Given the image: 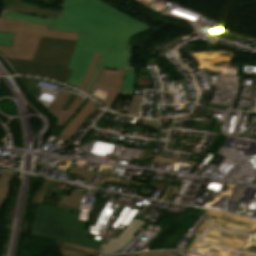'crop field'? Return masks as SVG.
I'll list each match as a JSON object with an SVG mask.
<instances>
[{"label":"crop field","mask_w":256,"mask_h":256,"mask_svg":"<svg viewBox=\"0 0 256 256\" xmlns=\"http://www.w3.org/2000/svg\"><path fill=\"white\" fill-rule=\"evenodd\" d=\"M64 4V12L54 20L12 12H5L0 17L79 33L67 67L73 71L66 84L78 88L92 61L93 52H98L102 55L84 92L88 94L99 68L104 67L126 71L119 93L132 95L136 70L129 67L132 45L126 43L130 36L150 28L101 0H64Z\"/></svg>","instance_id":"obj_1"},{"label":"crop field","mask_w":256,"mask_h":256,"mask_svg":"<svg viewBox=\"0 0 256 256\" xmlns=\"http://www.w3.org/2000/svg\"><path fill=\"white\" fill-rule=\"evenodd\" d=\"M78 210L40 205L30 235L67 241L99 250L103 241L86 238L87 223L75 221Z\"/></svg>","instance_id":"obj_2"},{"label":"crop field","mask_w":256,"mask_h":256,"mask_svg":"<svg viewBox=\"0 0 256 256\" xmlns=\"http://www.w3.org/2000/svg\"><path fill=\"white\" fill-rule=\"evenodd\" d=\"M76 41L42 37L32 61L6 59L17 74H31L66 82V69Z\"/></svg>","instance_id":"obj_3"},{"label":"crop field","mask_w":256,"mask_h":256,"mask_svg":"<svg viewBox=\"0 0 256 256\" xmlns=\"http://www.w3.org/2000/svg\"><path fill=\"white\" fill-rule=\"evenodd\" d=\"M0 31L15 33L12 47L0 46L4 58L31 60L41 36L76 40V33L54 31L46 26L0 18Z\"/></svg>","instance_id":"obj_4"},{"label":"crop field","mask_w":256,"mask_h":256,"mask_svg":"<svg viewBox=\"0 0 256 256\" xmlns=\"http://www.w3.org/2000/svg\"><path fill=\"white\" fill-rule=\"evenodd\" d=\"M124 75L125 72L123 71L101 68L88 95L91 96L96 87L110 91L104 104L112 108L123 82Z\"/></svg>","instance_id":"obj_5"},{"label":"crop field","mask_w":256,"mask_h":256,"mask_svg":"<svg viewBox=\"0 0 256 256\" xmlns=\"http://www.w3.org/2000/svg\"><path fill=\"white\" fill-rule=\"evenodd\" d=\"M80 96L70 93L60 92L55 99L54 103L48 110L54 116L57 117L58 124L55 126H63L66 121L72 116V114L82 104V100H79ZM84 103V102H83Z\"/></svg>","instance_id":"obj_6"},{"label":"crop field","mask_w":256,"mask_h":256,"mask_svg":"<svg viewBox=\"0 0 256 256\" xmlns=\"http://www.w3.org/2000/svg\"><path fill=\"white\" fill-rule=\"evenodd\" d=\"M145 223L137 218L121 233L117 239L111 238L108 243L102 249V255L114 253L117 250L123 249L128 243H130L135 236H133L139 228Z\"/></svg>","instance_id":"obj_7"},{"label":"crop field","mask_w":256,"mask_h":256,"mask_svg":"<svg viewBox=\"0 0 256 256\" xmlns=\"http://www.w3.org/2000/svg\"><path fill=\"white\" fill-rule=\"evenodd\" d=\"M97 104L93 101H88L84 107L75 115V117L67 124V126L60 133L58 139L68 141L76 130L83 124L85 119L92 113L96 108Z\"/></svg>","instance_id":"obj_8"},{"label":"crop field","mask_w":256,"mask_h":256,"mask_svg":"<svg viewBox=\"0 0 256 256\" xmlns=\"http://www.w3.org/2000/svg\"><path fill=\"white\" fill-rule=\"evenodd\" d=\"M61 256H97L98 250L67 243L61 241H55Z\"/></svg>","instance_id":"obj_9"},{"label":"crop field","mask_w":256,"mask_h":256,"mask_svg":"<svg viewBox=\"0 0 256 256\" xmlns=\"http://www.w3.org/2000/svg\"><path fill=\"white\" fill-rule=\"evenodd\" d=\"M3 2H4V10L6 9L10 11L33 13V14L47 16L50 18H55L60 14L58 12L45 11V10H41L26 4H22L19 0H3Z\"/></svg>","instance_id":"obj_10"},{"label":"crop field","mask_w":256,"mask_h":256,"mask_svg":"<svg viewBox=\"0 0 256 256\" xmlns=\"http://www.w3.org/2000/svg\"><path fill=\"white\" fill-rule=\"evenodd\" d=\"M14 174L15 172L13 171L3 169L0 175V205L9 191L10 181Z\"/></svg>","instance_id":"obj_11"},{"label":"crop field","mask_w":256,"mask_h":256,"mask_svg":"<svg viewBox=\"0 0 256 256\" xmlns=\"http://www.w3.org/2000/svg\"><path fill=\"white\" fill-rule=\"evenodd\" d=\"M82 194L72 190L69 197L62 196L58 206L78 209Z\"/></svg>","instance_id":"obj_12"},{"label":"crop field","mask_w":256,"mask_h":256,"mask_svg":"<svg viewBox=\"0 0 256 256\" xmlns=\"http://www.w3.org/2000/svg\"><path fill=\"white\" fill-rule=\"evenodd\" d=\"M100 55L101 54L94 53L93 61H92L91 65H90V67H89V69H88V71H87V73H86L82 83L80 84L79 89L84 90V88L86 87L89 79L91 78V76H92V74L94 72L95 66H96V64L98 62V59H99Z\"/></svg>","instance_id":"obj_13"},{"label":"crop field","mask_w":256,"mask_h":256,"mask_svg":"<svg viewBox=\"0 0 256 256\" xmlns=\"http://www.w3.org/2000/svg\"><path fill=\"white\" fill-rule=\"evenodd\" d=\"M69 173L71 174H77V175H82L81 178L86 179L85 183L86 185H88V183L91 181V179L93 178L94 174L93 172H90L88 170H84L81 168H77V167H73L71 166Z\"/></svg>","instance_id":"obj_14"},{"label":"crop field","mask_w":256,"mask_h":256,"mask_svg":"<svg viewBox=\"0 0 256 256\" xmlns=\"http://www.w3.org/2000/svg\"><path fill=\"white\" fill-rule=\"evenodd\" d=\"M50 183L51 180H45L43 187L37 191L32 203H41Z\"/></svg>","instance_id":"obj_15"},{"label":"crop field","mask_w":256,"mask_h":256,"mask_svg":"<svg viewBox=\"0 0 256 256\" xmlns=\"http://www.w3.org/2000/svg\"><path fill=\"white\" fill-rule=\"evenodd\" d=\"M142 96H133L130 104L129 112L130 115H138V110Z\"/></svg>","instance_id":"obj_16"},{"label":"crop field","mask_w":256,"mask_h":256,"mask_svg":"<svg viewBox=\"0 0 256 256\" xmlns=\"http://www.w3.org/2000/svg\"><path fill=\"white\" fill-rule=\"evenodd\" d=\"M179 155L178 153H176L174 159H171V158H167V157H156L155 160H152L150 162H155V163H161V164H164L165 162L167 163H172L173 161H183V160H178L179 158ZM183 162H187V163H190V166L194 167L196 163H193V162H190V161H183Z\"/></svg>","instance_id":"obj_17"},{"label":"crop field","mask_w":256,"mask_h":256,"mask_svg":"<svg viewBox=\"0 0 256 256\" xmlns=\"http://www.w3.org/2000/svg\"><path fill=\"white\" fill-rule=\"evenodd\" d=\"M177 189L178 187L168 185V187L166 188V190L164 191L160 199L171 201Z\"/></svg>","instance_id":"obj_18"},{"label":"crop field","mask_w":256,"mask_h":256,"mask_svg":"<svg viewBox=\"0 0 256 256\" xmlns=\"http://www.w3.org/2000/svg\"><path fill=\"white\" fill-rule=\"evenodd\" d=\"M13 36H14V34H12V33L0 32V45L11 46Z\"/></svg>","instance_id":"obj_19"},{"label":"crop field","mask_w":256,"mask_h":256,"mask_svg":"<svg viewBox=\"0 0 256 256\" xmlns=\"http://www.w3.org/2000/svg\"><path fill=\"white\" fill-rule=\"evenodd\" d=\"M171 252H155V253H138L129 256H169Z\"/></svg>","instance_id":"obj_20"},{"label":"crop field","mask_w":256,"mask_h":256,"mask_svg":"<svg viewBox=\"0 0 256 256\" xmlns=\"http://www.w3.org/2000/svg\"><path fill=\"white\" fill-rule=\"evenodd\" d=\"M143 126H149V127H155L158 128V121H149V120H144L142 123Z\"/></svg>","instance_id":"obj_21"},{"label":"crop field","mask_w":256,"mask_h":256,"mask_svg":"<svg viewBox=\"0 0 256 256\" xmlns=\"http://www.w3.org/2000/svg\"><path fill=\"white\" fill-rule=\"evenodd\" d=\"M200 212V211H199ZM203 212V210H201V212L197 215V217L193 220V222L200 216V214ZM193 222L188 226V228L186 230L183 231L182 236L179 238V240L174 244V246L171 249H174V247L180 242L181 238L185 235L186 231L189 229V227L193 224ZM191 228V227H190Z\"/></svg>","instance_id":"obj_22"},{"label":"crop field","mask_w":256,"mask_h":256,"mask_svg":"<svg viewBox=\"0 0 256 256\" xmlns=\"http://www.w3.org/2000/svg\"><path fill=\"white\" fill-rule=\"evenodd\" d=\"M118 256H124V255H118Z\"/></svg>","instance_id":"obj_23"},{"label":"crop field","mask_w":256,"mask_h":256,"mask_svg":"<svg viewBox=\"0 0 256 256\" xmlns=\"http://www.w3.org/2000/svg\"><path fill=\"white\" fill-rule=\"evenodd\" d=\"M129 255V254H128ZM128 255H125V256H128Z\"/></svg>","instance_id":"obj_24"}]
</instances>
